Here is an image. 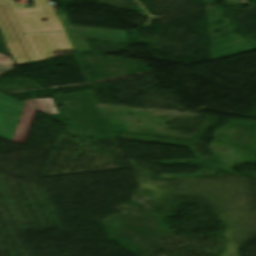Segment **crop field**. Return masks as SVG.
Wrapping results in <instances>:
<instances>
[{"label": "crop field", "instance_id": "crop-field-2", "mask_svg": "<svg viewBox=\"0 0 256 256\" xmlns=\"http://www.w3.org/2000/svg\"><path fill=\"white\" fill-rule=\"evenodd\" d=\"M35 112L36 109L0 93V137L23 144Z\"/></svg>", "mask_w": 256, "mask_h": 256}, {"label": "crop field", "instance_id": "crop-field-1", "mask_svg": "<svg viewBox=\"0 0 256 256\" xmlns=\"http://www.w3.org/2000/svg\"><path fill=\"white\" fill-rule=\"evenodd\" d=\"M33 2V8L17 9L13 0H0V32L16 65L73 50L54 7L47 0Z\"/></svg>", "mask_w": 256, "mask_h": 256}, {"label": "crop field", "instance_id": "crop-field-3", "mask_svg": "<svg viewBox=\"0 0 256 256\" xmlns=\"http://www.w3.org/2000/svg\"><path fill=\"white\" fill-rule=\"evenodd\" d=\"M75 52H91L85 39L127 44L125 31L69 26L64 11L59 15Z\"/></svg>", "mask_w": 256, "mask_h": 256}, {"label": "crop field", "instance_id": "crop-field-4", "mask_svg": "<svg viewBox=\"0 0 256 256\" xmlns=\"http://www.w3.org/2000/svg\"><path fill=\"white\" fill-rule=\"evenodd\" d=\"M43 113L57 114L51 98L29 99L22 101Z\"/></svg>", "mask_w": 256, "mask_h": 256}, {"label": "crop field", "instance_id": "crop-field-5", "mask_svg": "<svg viewBox=\"0 0 256 256\" xmlns=\"http://www.w3.org/2000/svg\"><path fill=\"white\" fill-rule=\"evenodd\" d=\"M13 62L10 57L0 54V74L14 69Z\"/></svg>", "mask_w": 256, "mask_h": 256}]
</instances>
